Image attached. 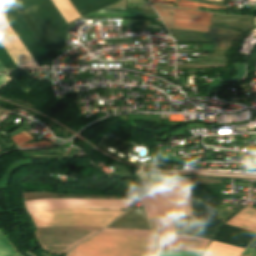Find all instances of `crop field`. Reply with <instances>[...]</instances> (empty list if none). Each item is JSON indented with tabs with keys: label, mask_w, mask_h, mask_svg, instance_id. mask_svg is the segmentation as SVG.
<instances>
[{
	"label": "crop field",
	"mask_w": 256,
	"mask_h": 256,
	"mask_svg": "<svg viewBox=\"0 0 256 256\" xmlns=\"http://www.w3.org/2000/svg\"><path fill=\"white\" fill-rule=\"evenodd\" d=\"M156 256H200V254L185 253V252L157 251Z\"/></svg>",
	"instance_id": "crop-field-19"
},
{
	"label": "crop field",
	"mask_w": 256,
	"mask_h": 256,
	"mask_svg": "<svg viewBox=\"0 0 256 256\" xmlns=\"http://www.w3.org/2000/svg\"><path fill=\"white\" fill-rule=\"evenodd\" d=\"M226 224L256 232V210L247 206Z\"/></svg>",
	"instance_id": "crop-field-10"
},
{
	"label": "crop field",
	"mask_w": 256,
	"mask_h": 256,
	"mask_svg": "<svg viewBox=\"0 0 256 256\" xmlns=\"http://www.w3.org/2000/svg\"><path fill=\"white\" fill-rule=\"evenodd\" d=\"M178 250L203 252L209 240L199 237L176 235ZM211 241V240H210Z\"/></svg>",
	"instance_id": "crop-field-11"
},
{
	"label": "crop field",
	"mask_w": 256,
	"mask_h": 256,
	"mask_svg": "<svg viewBox=\"0 0 256 256\" xmlns=\"http://www.w3.org/2000/svg\"><path fill=\"white\" fill-rule=\"evenodd\" d=\"M180 192L185 200L188 209L150 217L151 215L187 208L181 194L171 195ZM165 195L171 196L145 201L151 213L150 215L144 200ZM141 201L144 205V208L149 219L160 216L169 250H177L176 237L170 214L191 216L192 201L188 179L169 183L144 196L143 198H141Z\"/></svg>",
	"instance_id": "crop-field-1"
},
{
	"label": "crop field",
	"mask_w": 256,
	"mask_h": 256,
	"mask_svg": "<svg viewBox=\"0 0 256 256\" xmlns=\"http://www.w3.org/2000/svg\"><path fill=\"white\" fill-rule=\"evenodd\" d=\"M0 43L19 68L37 65L1 14Z\"/></svg>",
	"instance_id": "crop-field-7"
},
{
	"label": "crop field",
	"mask_w": 256,
	"mask_h": 256,
	"mask_svg": "<svg viewBox=\"0 0 256 256\" xmlns=\"http://www.w3.org/2000/svg\"><path fill=\"white\" fill-rule=\"evenodd\" d=\"M12 79L9 78L7 75H0V89L5 86L9 81Z\"/></svg>",
	"instance_id": "crop-field-23"
},
{
	"label": "crop field",
	"mask_w": 256,
	"mask_h": 256,
	"mask_svg": "<svg viewBox=\"0 0 256 256\" xmlns=\"http://www.w3.org/2000/svg\"><path fill=\"white\" fill-rule=\"evenodd\" d=\"M152 238L94 236L68 256H155Z\"/></svg>",
	"instance_id": "crop-field-2"
},
{
	"label": "crop field",
	"mask_w": 256,
	"mask_h": 256,
	"mask_svg": "<svg viewBox=\"0 0 256 256\" xmlns=\"http://www.w3.org/2000/svg\"><path fill=\"white\" fill-rule=\"evenodd\" d=\"M49 144H51V143H49L47 141H43V142H38V143L21 145V148L38 147V146H44V145H49Z\"/></svg>",
	"instance_id": "crop-field-22"
},
{
	"label": "crop field",
	"mask_w": 256,
	"mask_h": 256,
	"mask_svg": "<svg viewBox=\"0 0 256 256\" xmlns=\"http://www.w3.org/2000/svg\"><path fill=\"white\" fill-rule=\"evenodd\" d=\"M1 256V255H0Z\"/></svg>",
	"instance_id": "crop-field-28"
},
{
	"label": "crop field",
	"mask_w": 256,
	"mask_h": 256,
	"mask_svg": "<svg viewBox=\"0 0 256 256\" xmlns=\"http://www.w3.org/2000/svg\"><path fill=\"white\" fill-rule=\"evenodd\" d=\"M98 235L152 237L151 230L105 229Z\"/></svg>",
	"instance_id": "crop-field-13"
},
{
	"label": "crop field",
	"mask_w": 256,
	"mask_h": 256,
	"mask_svg": "<svg viewBox=\"0 0 256 256\" xmlns=\"http://www.w3.org/2000/svg\"><path fill=\"white\" fill-rule=\"evenodd\" d=\"M137 199L138 198L126 200L59 198L27 201L25 203L28 212L77 208L127 209Z\"/></svg>",
	"instance_id": "crop-field-4"
},
{
	"label": "crop field",
	"mask_w": 256,
	"mask_h": 256,
	"mask_svg": "<svg viewBox=\"0 0 256 256\" xmlns=\"http://www.w3.org/2000/svg\"><path fill=\"white\" fill-rule=\"evenodd\" d=\"M125 210H56L29 213L36 228L68 225L105 227Z\"/></svg>",
	"instance_id": "crop-field-3"
},
{
	"label": "crop field",
	"mask_w": 256,
	"mask_h": 256,
	"mask_svg": "<svg viewBox=\"0 0 256 256\" xmlns=\"http://www.w3.org/2000/svg\"><path fill=\"white\" fill-rule=\"evenodd\" d=\"M65 228H86V229H96V230L103 229L98 227H87V226H69V227H57V228H43V229H36V230L65 229Z\"/></svg>",
	"instance_id": "crop-field-21"
},
{
	"label": "crop field",
	"mask_w": 256,
	"mask_h": 256,
	"mask_svg": "<svg viewBox=\"0 0 256 256\" xmlns=\"http://www.w3.org/2000/svg\"><path fill=\"white\" fill-rule=\"evenodd\" d=\"M149 1H150V3H156V4H164V5L174 6L173 4L164 2V1H162V0H149ZM165 1H170V2L176 3L177 0H165Z\"/></svg>",
	"instance_id": "crop-field-24"
},
{
	"label": "crop field",
	"mask_w": 256,
	"mask_h": 256,
	"mask_svg": "<svg viewBox=\"0 0 256 256\" xmlns=\"http://www.w3.org/2000/svg\"><path fill=\"white\" fill-rule=\"evenodd\" d=\"M0 238L13 246L0 232ZM14 247V246H13ZM12 247V248H13ZM8 245L4 244L3 242L0 241V254H6V255H13V256H22L19 252L16 250L12 249ZM15 248V247H14ZM16 249V248H15Z\"/></svg>",
	"instance_id": "crop-field-17"
},
{
	"label": "crop field",
	"mask_w": 256,
	"mask_h": 256,
	"mask_svg": "<svg viewBox=\"0 0 256 256\" xmlns=\"http://www.w3.org/2000/svg\"><path fill=\"white\" fill-rule=\"evenodd\" d=\"M11 138L14 140V142H15L17 145H21V144H23V143H25V142H27V141L33 139V137L30 136V135H29L28 133H26L25 131H23V132H21V133L15 135V136H13V137H11Z\"/></svg>",
	"instance_id": "crop-field-18"
},
{
	"label": "crop field",
	"mask_w": 256,
	"mask_h": 256,
	"mask_svg": "<svg viewBox=\"0 0 256 256\" xmlns=\"http://www.w3.org/2000/svg\"><path fill=\"white\" fill-rule=\"evenodd\" d=\"M54 4L57 6L59 11L62 13L67 22H71L80 18V15L74 9L69 0H52Z\"/></svg>",
	"instance_id": "crop-field-14"
},
{
	"label": "crop field",
	"mask_w": 256,
	"mask_h": 256,
	"mask_svg": "<svg viewBox=\"0 0 256 256\" xmlns=\"http://www.w3.org/2000/svg\"><path fill=\"white\" fill-rule=\"evenodd\" d=\"M0 61L4 65V67L7 69V71L18 69L17 66L14 64L12 59L9 57V55L6 53L4 48L0 44Z\"/></svg>",
	"instance_id": "crop-field-16"
},
{
	"label": "crop field",
	"mask_w": 256,
	"mask_h": 256,
	"mask_svg": "<svg viewBox=\"0 0 256 256\" xmlns=\"http://www.w3.org/2000/svg\"><path fill=\"white\" fill-rule=\"evenodd\" d=\"M154 220H155L157 228L159 230L160 239H161V243H162V248H163V250H168L167 249V245H166V241H165V237H164V233H163V229H162V226H161L160 219L158 217V218H155Z\"/></svg>",
	"instance_id": "crop-field-20"
},
{
	"label": "crop field",
	"mask_w": 256,
	"mask_h": 256,
	"mask_svg": "<svg viewBox=\"0 0 256 256\" xmlns=\"http://www.w3.org/2000/svg\"><path fill=\"white\" fill-rule=\"evenodd\" d=\"M198 6L208 7V8H215V9H219V8L226 9V7H222V6L210 5V4H204V3H197V2H190V1H182V0H178V6L177 7L197 10Z\"/></svg>",
	"instance_id": "crop-field-15"
},
{
	"label": "crop field",
	"mask_w": 256,
	"mask_h": 256,
	"mask_svg": "<svg viewBox=\"0 0 256 256\" xmlns=\"http://www.w3.org/2000/svg\"><path fill=\"white\" fill-rule=\"evenodd\" d=\"M256 239V238H255Z\"/></svg>",
	"instance_id": "crop-field-29"
},
{
	"label": "crop field",
	"mask_w": 256,
	"mask_h": 256,
	"mask_svg": "<svg viewBox=\"0 0 256 256\" xmlns=\"http://www.w3.org/2000/svg\"><path fill=\"white\" fill-rule=\"evenodd\" d=\"M153 6L167 28L209 32L207 26H209L213 15L211 13ZM170 12H173V14L169 15Z\"/></svg>",
	"instance_id": "crop-field-6"
},
{
	"label": "crop field",
	"mask_w": 256,
	"mask_h": 256,
	"mask_svg": "<svg viewBox=\"0 0 256 256\" xmlns=\"http://www.w3.org/2000/svg\"><path fill=\"white\" fill-rule=\"evenodd\" d=\"M0 12L15 31L20 40L23 42L28 51L31 53L33 58L39 64V66L48 64L2 0H0Z\"/></svg>",
	"instance_id": "crop-field-9"
},
{
	"label": "crop field",
	"mask_w": 256,
	"mask_h": 256,
	"mask_svg": "<svg viewBox=\"0 0 256 256\" xmlns=\"http://www.w3.org/2000/svg\"><path fill=\"white\" fill-rule=\"evenodd\" d=\"M242 248L212 241L203 256H239Z\"/></svg>",
	"instance_id": "crop-field-12"
},
{
	"label": "crop field",
	"mask_w": 256,
	"mask_h": 256,
	"mask_svg": "<svg viewBox=\"0 0 256 256\" xmlns=\"http://www.w3.org/2000/svg\"><path fill=\"white\" fill-rule=\"evenodd\" d=\"M96 230L66 229L36 232L37 239L46 251L61 254L67 253L76 244L96 234Z\"/></svg>",
	"instance_id": "crop-field-5"
},
{
	"label": "crop field",
	"mask_w": 256,
	"mask_h": 256,
	"mask_svg": "<svg viewBox=\"0 0 256 256\" xmlns=\"http://www.w3.org/2000/svg\"><path fill=\"white\" fill-rule=\"evenodd\" d=\"M5 71H6V69L3 67V65L0 62V72H5Z\"/></svg>",
	"instance_id": "crop-field-26"
},
{
	"label": "crop field",
	"mask_w": 256,
	"mask_h": 256,
	"mask_svg": "<svg viewBox=\"0 0 256 256\" xmlns=\"http://www.w3.org/2000/svg\"><path fill=\"white\" fill-rule=\"evenodd\" d=\"M242 255H244V256H256V250L247 248Z\"/></svg>",
	"instance_id": "crop-field-25"
},
{
	"label": "crop field",
	"mask_w": 256,
	"mask_h": 256,
	"mask_svg": "<svg viewBox=\"0 0 256 256\" xmlns=\"http://www.w3.org/2000/svg\"><path fill=\"white\" fill-rule=\"evenodd\" d=\"M192 216L201 217L198 232L214 235L215 229L225 220L214 219L217 195L192 196Z\"/></svg>",
	"instance_id": "crop-field-8"
},
{
	"label": "crop field",
	"mask_w": 256,
	"mask_h": 256,
	"mask_svg": "<svg viewBox=\"0 0 256 256\" xmlns=\"http://www.w3.org/2000/svg\"><path fill=\"white\" fill-rule=\"evenodd\" d=\"M248 247L256 249V245L250 244Z\"/></svg>",
	"instance_id": "crop-field-27"
}]
</instances>
